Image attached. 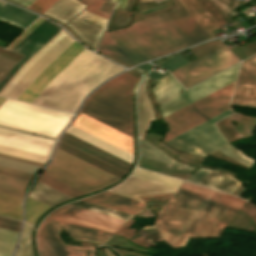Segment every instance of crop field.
Returning a JSON list of instances; mask_svg holds the SVG:
<instances>
[{"mask_svg":"<svg viewBox=\"0 0 256 256\" xmlns=\"http://www.w3.org/2000/svg\"><path fill=\"white\" fill-rule=\"evenodd\" d=\"M82 200L93 202L134 215L138 214L140 211L147 207L143 202H139L107 192L91 196Z\"/></svg>","mask_w":256,"mask_h":256,"instance_id":"19","label":"crop field"},{"mask_svg":"<svg viewBox=\"0 0 256 256\" xmlns=\"http://www.w3.org/2000/svg\"><path fill=\"white\" fill-rule=\"evenodd\" d=\"M235 196L223 193L191 237H206Z\"/></svg>","mask_w":256,"mask_h":256,"instance_id":"20","label":"crop field"},{"mask_svg":"<svg viewBox=\"0 0 256 256\" xmlns=\"http://www.w3.org/2000/svg\"><path fill=\"white\" fill-rule=\"evenodd\" d=\"M159 144H161V145L164 146L165 148L169 149L170 151H172V152H174V153H177L178 155H182V156H184V157H189V158H194V159H198V160L204 161V159H200V158H197V157H193V156H190V155H186V154H183V153L176 152V151L170 149L169 147L165 146V145L162 144L161 142H160ZM184 157L179 156L178 158L181 159V160H184V161L189 160V161H192V162H196V163H200V164H201V162L193 161V160H190V159H187V158H184ZM186 162H188V161H186ZM192 162H189V163H192ZM192 164H195V163H192ZM195 165H198V164H195ZM198 166H200V165H198Z\"/></svg>","mask_w":256,"mask_h":256,"instance_id":"53","label":"crop field"},{"mask_svg":"<svg viewBox=\"0 0 256 256\" xmlns=\"http://www.w3.org/2000/svg\"><path fill=\"white\" fill-rule=\"evenodd\" d=\"M81 1L89 6L94 0H81Z\"/></svg>","mask_w":256,"mask_h":256,"instance_id":"67","label":"crop field"},{"mask_svg":"<svg viewBox=\"0 0 256 256\" xmlns=\"http://www.w3.org/2000/svg\"><path fill=\"white\" fill-rule=\"evenodd\" d=\"M0 228L18 232L20 228L0 223Z\"/></svg>","mask_w":256,"mask_h":256,"instance_id":"59","label":"crop field"},{"mask_svg":"<svg viewBox=\"0 0 256 256\" xmlns=\"http://www.w3.org/2000/svg\"><path fill=\"white\" fill-rule=\"evenodd\" d=\"M50 206L28 196L25 202V221L34 225L37 218Z\"/></svg>","mask_w":256,"mask_h":256,"instance_id":"36","label":"crop field"},{"mask_svg":"<svg viewBox=\"0 0 256 256\" xmlns=\"http://www.w3.org/2000/svg\"><path fill=\"white\" fill-rule=\"evenodd\" d=\"M149 67H150V65L148 63H144L142 65H139V66L135 67L134 69L143 73Z\"/></svg>","mask_w":256,"mask_h":256,"instance_id":"60","label":"crop field"},{"mask_svg":"<svg viewBox=\"0 0 256 256\" xmlns=\"http://www.w3.org/2000/svg\"><path fill=\"white\" fill-rule=\"evenodd\" d=\"M131 176H135V177H138L141 179H145V180L155 182V183L165 185V186L175 188V189H177V187L182 182L181 180H177V179L170 178L167 176L159 175V174L152 173V172L145 171V170L138 169V168H136L134 170V172L131 174Z\"/></svg>","mask_w":256,"mask_h":256,"instance_id":"34","label":"crop field"},{"mask_svg":"<svg viewBox=\"0 0 256 256\" xmlns=\"http://www.w3.org/2000/svg\"><path fill=\"white\" fill-rule=\"evenodd\" d=\"M116 11H117V9L113 10V13H112L110 21L108 23L107 29H111V27L114 23ZM130 15H131V13H129V12L118 10L117 15H116V19H115V23H114V26H113L112 29H117V28H120V27L127 26L129 24Z\"/></svg>","mask_w":256,"mask_h":256,"instance_id":"44","label":"crop field"},{"mask_svg":"<svg viewBox=\"0 0 256 256\" xmlns=\"http://www.w3.org/2000/svg\"><path fill=\"white\" fill-rule=\"evenodd\" d=\"M66 132H68L86 142H89L107 152H110V153L130 162V163L132 161V156H133L132 154H130V153H128V152H126V151H124V150L104 141V140H101V139H99V138H97V137L71 125V124L67 128Z\"/></svg>","mask_w":256,"mask_h":256,"instance_id":"22","label":"crop field"},{"mask_svg":"<svg viewBox=\"0 0 256 256\" xmlns=\"http://www.w3.org/2000/svg\"><path fill=\"white\" fill-rule=\"evenodd\" d=\"M128 2H130V3H132V4H131V6H130V4L128 3V5H127V7H126L125 10H128L129 6H130L129 10H131V8H132V6H133L135 0H128Z\"/></svg>","mask_w":256,"mask_h":256,"instance_id":"66","label":"crop field"},{"mask_svg":"<svg viewBox=\"0 0 256 256\" xmlns=\"http://www.w3.org/2000/svg\"><path fill=\"white\" fill-rule=\"evenodd\" d=\"M179 7L104 35L99 51L132 67L211 38L178 0Z\"/></svg>","mask_w":256,"mask_h":256,"instance_id":"1","label":"crop field"},{"mask_svg":"<svg viewBox=\"0 0 256 256\" xmlns=\"http://www.w3.org/2000/svg\"><path fill=\"white\" fill-rule=\"evenodd\" d=\"M154 0H138L139 3L153 2Z\"/></svg>","mask_w":256,"mask_h":256,"instance_id":"68","label":"crop field"},{"mask_svg":"<svg viewBox=\"0 0 256 256\" xmlns=\"http://www.w3.org/2000/svg\"><path fill=\"white\" fill-rule=\"evenodd\" d=\"M50 215H54L57 217H61L64 219H68L71 221H75L78 223H82L88 226H92V227L99 228V229L106 230L113 233H115L121 227V225L110 223L104 220H100L97 218H93L90 216H86V215L79 214V213L62 209V208H59L53 211Z\"/></svg>","mask_w":256,"mask_h":256,"instance_id":"21","label":"crop field"},{"mask_svg":"<svg viewBox=\"0 0 256 256\" xmlns=\"http://www.w3.org/2000/svg\"><path fill=\"white\" fill-rule=\"evenodd\" d=\"M154 228L153 226H145L142 229Z\"/></svg>","mask_w":256,"mask_h":256,"instance_id":"69","label":"crop field"},{"mask_svg":"<svg viewBox=\"0 0 256 256\" xmlns=\"http://www.w3.org/2000/svg\"><path fill=\"white\" fill-rule=\"evenodd\" d=\"M39 256H85L86 252H79L67 248L90 250L88 256L93 255L94 248H80L67 244L54 243L37 239Z\"/></svg>","mask_w":256,"mask_h":256,"instance_id":"24","label":"crop field"},{"mask_svg":"<svg viewBox=\"0 0 256 256\" xmlns=\"http://www.w3.org/2000/svg\"><path fill=\"white\" fill-rule=\"evenodd\" d=\"M0 222L20 227L21 222L0 217Z\"/></svg>","mask_w":256,"mask_h":256,"instance_id":"56","label":"crop field"},{"mask_svg":"<svg viewBox=\"0 0 256 256\" xmlns=\"http://www.w3.org/2000/svg\"><path fill=\"white\" fill-rule=\"evenodd\" d=\"M91 52L85 49L80 53L54 77L33 103L75 113L88 92L124 70Z\"/></svg>","mask_w":256,"mask_h":256,"instance_id":"2","label":"crop field"},{"mask_svg":"<svg viewBox=\"0 0 256 256\" xmlns=\"http://www.w3.org/2000/svg\"><path fill=\"white\" fill-rule=\"evenodd\" d=\"M113 5H114V4L105 1L104 4L101 6L100 10L105 11V12H107V13L110 14Z\"/></svg>","mask_w":256,"mask_h":256,"instance_id":"57","label":"crop field"},{"mask_svg":"<svg viewBox=\"0 0 256 256\" xmlns=\"http://www.w3.org/2000/svg\"><path fill=\"white\" fill-rule=\"evenodd\" d=\"M27 182L0 175V193L22 198Z\"/></svg>","mask_w":256,"mask_h":256,"instance_id":"35","label":"crop field"},{"mask_svg":"<svg viewBox=\"0 0 256 256\" xmlns=\"http://www.w3.org/2000/svg\"><path fill=\"white\" fill-rule=\"evenodd\" d=\"M197 184L228 193L232 192L241 185L238 180L214 170H211L208 174H206L200 181L197 182Z\"/></svg>","mask_w":256,"mask_h":256,"instance_id":"26","label":"crop field"},{"mask_svg":"<svg viewBox=\"0 0 256 256\" xmlns=\"http://www.w3.org/2000/svg\"><path fill=\"white\" fill-rule=\"evenodd\" d=\"M44 19L39 18L34 24H32L28 29H26L19 37H17L9 47V49H13L19 42H21L36 26H38Z\"/></svg>","mask_w":256,"mask_h":256,"instance_id":"49","label":"crop field"},{"mask_svg":"<svg viewBox=\"0 0 256 256\" xmlns=\"http://www.w3.org/2000/svg\"><path fill=\"white\" fill-rule=\"evenodd\" d=\"M86 7L78 0H58L44 14L66 23Z\"/></svg>","mask_w":256,"mask_h":256,"instance_id":"23","label":"crop field"},{"mask_svg":"<svg viewBox=\"0 0 256 256\" xmlns=\"http://www.w3.org/2000/svg\"><path fill=\"white\" fill-rule=\"evenodd\" d=\"M38 181H40V182H42V183H44V184H46V185H48L52 188H55V189L65 193V194H67L71 197L84 194V193H82V192H80V191H78V190H76V189H74V188H72V187H70V186H68V185H66V184H64V183L46 175V174H44V173L40 176Z\"/></svg>","mask_w":256,"mask_h":256,"instance_id":"41","label":"crop field"},{"mask_svg":"<svg viewBox=\"0 0 256 256\" xmlns=\"http://www.w3.org/2000/svg\"><path fill=\"white\" fill-rule=\"evenodd\" d=\"M221 194L222 192L216 191V193L206 204V206L203 208V210L200 212V214L197 216V218L194 220V222L191 224V226L188 228V230L185 232V234L182 236V238L179 240V242L176 244L174 248L184 245L187 239L191 236V234L194 232V230L197 228V226L200 224V222L203 220V218L206 216V214L209 212V210L221 196Z\"/></svg>","mask_w":256,"mask_h":256,"instance_id":"37","label":"crop field"},{"mask_svg":"<svg viewBox=\"0 0 256 256\" xmlns=\"http://www.w3.org/2000/svg\"><path fill=\"white\" fill-rule=\"evenodd\" d=\"M72 115L7 99L0 107V125L56 139Z\"/></svg>","mask_w":256,"mask_h":256,"instance_id":"5","label":"crop field"},{"mask_svg":"<svg viewBox=\"0 0 256 256\" xmlns=\"http://www.w3.org/2000/svg\"><path fill=\"white\" fill-rule=\"evenodd\" d=\"M146 80L147 78L143 80L138 93V123H139V137L141 138L143 137L150 121L155 120L152 107L150 105V102L145 90Z\"/></svg>","mask_w":256,"mask_h":256,"instance_id":"27","label":"crop field"},{"mask_svg":"<svg viewBox=\"0 0 256 256\" xmlns=\"http://www.w3.org/2000/svg\"><path fill=\"white\" fill-rule=\"evenodd\" d=\"M20 198L0 194V215L22 220Z\"/></svg>","mask_w":256,"mask_h":256,"instance_id":"31","label":"crop field"},{"mask_svg":"<svg viewBox=\"0 0 256 256\" xmlns=\"http://www.w3.org/2000/svg\"><path fill=\"white\" fill-rule=\"evenodd\" d=\"M103 2H104L103 0H96L89 7H87L86 10H88L96 15H100L105 18H108V16H109L108 14H105L98 10V8L102 5Z\"/></svg>","mask_w":256,"mask_h":256,"instance_id":"50","label":"crop field"},{"mask_svg":"<svg viewBox=\"0 0 256 256\" xmlns=\"http://www.w3.org/2000/svg\"><path fill=\"white\" fill-rule=\"evenodd\" d=\"M4 99H5V98L0 97V104L2 103V101H3Z\"/></svg>","mask_w":256,"mask_h":256,"instance_id":"70","label":"crop field"},{"mask_svg":"<svg viewBox=\"0 0 256 256\" xmlns=\"http://www.w3.org/2000/svg\"><path fill=\"white\" fill-rule=\"evenodd\" d=\"M112 1H115V2H116L115 8H119L120 5H121V3H122V6H121L122 9L125 8L126 3H127V0H112Z\"/></svg>","mask_w":256,"mask_h":256,"instance_id":"61","label":"crop field"},{"mask_svg":"<svg viewBox=\"0 0 256 256\" xmlns=\"http://www.w3.org/2000/svg\"><path fill=\"white\" fill-rule=\"evenodd\" d=\"M30 196L53 206L65 199L71 198L57 190H54L40 182L37 181L36 185L33 187Z\"/></svg>","mask_w":256,"mask_h":256,"instance_id":"30","label":"crop field"},{"mask_svg":"<svg viewBox=\"0 0 256 256\" xmlns=\"http://www.w3.org/2000/svg\"><path fill=\"white\" fill-rule=\"evenodd\" d=\"M156 1H158V0H156Z\"/></svg>","mask_w":256,"mask_h":256,"instance_id":"71","label":"crop field"},{"mask_svg":"<svg viewBox=\"0 0 256 256\" xmlns=\"http://www.w3.org/2000/svg\"><path fill=\"white\" fill-rule=\"evenodd\" d=\"M55 1L57 0H35L28 8L39 11L41 13L45 12Z\"/></svg>","mask_w":256,"mask_h":256,"instance_id":"48","label":"crop field"},{"mask_svg":"<svg viewBox=\"0 0 256 256\" xmlns=\"http://www.w3.org/2000/svg\"><path fill=\"white\" fill-rule=\"evenodd\" d=\"M214 192L183 182L162 209L155 224L166 242L175 246Z\"/></svg>","mask_w":256,"mask_h":256,"instance_id":"4","label":"crop field"},{"mask_svg":"<svg viewBox=\"0 0 256 256\" xmlns=\"http://www.w3.org/2000/svg\"><path fill=\"white\" fill-rule=\"evenodd\" d=\"M31 229V226L24 224L23 232L18 244L19 247L16 249V256H33L30 243Z\"/></svg>","mask_w":256,"mask_h":256,"instance_id":"42","label":"crop field"},{"mask_svg":"<svg viewBox=\"0 0 256 256\" xmlns=\"http://www.w3.org/2000/svg\"><path fill=\"white\" fill-rule=\"evenodd\" d=\"M18 233L0 229V256H11Z\"/></svg>","mask_w":256,"mask_h":256,"instance_id":"40","label":"crop field"},{"mask_svg":"<svg viewBox=\"0 0 256 256\" xmlns=\"http://www.w3.org/2000/svg\"><path fill=\"white\" fill-rule=\"evenodd\" d=\"M234 82L163 118L170 131L165 142L230 109Z\"/></svg>","mask_w":256,"mask_h":256,"instance_id":"7","label":"crop field"},{"mask_svg":"<svg viewBox=\"0 0 256 256\" xmlns=\"http://www.w3.org/2000/svg\"><path fill=\"white\" fill-rule=\"evenodd\" d=\"M0 166L35 174L39 166L0 157Z\"/></svg>","mask_w":256,"mask_h":256,"instance_id":"43","label":"crop field"},{"mask_svg":"<svg viewBox=\"0 0 256 256\" xmlns=\"http://www.w3.org/2000/svg\"><path fill=\"white\" fill-rule=\"evenodd\" d=\"M84 49L85 48L75 41L38 75L30 86L21 94L18 100L32 103L40 92L47 86V84L53 79V77Z\"/></svg>","mask_w":256,"mask_h":256,"instance_id":"13","label":"crop field"},{"mask_svg":"<svg viewBox=\"0 0 256 256\" xmlns=\"http://www.w3.org/2000/svg\"><path fill=\"white\" fill-rule=\"evenodd\" d=\"M136 78L124 73L88 97L81 112L132 137L131 93Z\"/></svg>","mask_w":256,"mask_h":256,"instance_id":"3","label":"crop field"},{"mask_svg":"<svg viewBox=\"0 0 256 256\" xmlns=\"http://www.w3.org/2000/svg\"><path fill=\"white\" fill-rule=\"evenodd\" d=\"M53 140L0 127V152L45 163L50 157Z\"/></svg>","mask_w":256,"mask_h":256,"instance_id":"11","label":"crop field"},{"mask_svg":"<svg viewBox=\"0 0 256 256\" xmlns=\"http://www.w3.org/2000/svg\"><path fill=\"white\" fill-rule=\"evenodd\" d=\"M189 63L186 59H184L180 54H177L165 61H163L162 63H160L159 67H163V68H166L170 71L184 65V64H187Z\"/></svg>","mask_w":256,"mask_h":256,"instance_id":"47","label":"crop field"},{"mask_svg":"<svg viewBox=\"0 0 256 256\" xmlns=\"http://www.w3.org/2000/svg\"><path fill=\"white\" fill-rule=\"evenodd\" d=\"M0 174L10 176V177H14V178H18V179H22V180H26V181H29V179H30L29 177H25V176L13 174V173L1 171V170H0Z\"/></svg>","mask_w":256,"mask_h":256,"instance_id":"55","label":"crop field"},{"mask_svg":"<svg viewBox=\"0 0 256 256\" xmlns=\"http://www.w3.org/2000/svg\"><path fill=\"white\" fill-rule=\"evenodd\" d=\"M163 77H165V75H162V74H159V73H156V72H153V71H151L149 73V75L147 76V78H150V79H153V80H156V81L162 79Z\"/></svg>","mask_w":256,"mask_h":256,"instance_id":"58","label":"crop field"},{"mask_svg":"<svg viewBox=\"0 0 256 256\" xmlns=\"http://www.w3.org/2000/svg\"><path fill=\"white\" fill-rule=\"evenodd\" d=\"M14 63H15V61L10 60V59H8V58H5V57H3V56H0V65H1V66H4V67L10 69L11 66H12ZM1 66H0V72H2V73H1V75H0V78L8 71V69H6V68H4V67H1Z\"/></svg>","mask_w":256,"mask_h":256,"instance_id":"51","label":"crop field"},{"mask_svg":"<svg viewBox=\"0 0 256 256\" xmlns=\"http://www.w3.org/2000/svg\"><path fill=\"white\" fill-rule=\"evenodd\" d=\"M62 208L73 210V211H76V212H79V213H83V214H86V215H90V216H93V217H97V218L104 219V220L114 222V223H117V224H121V225H123L126 222V221H123V220H119V219H116V218H113V217H109V216H106V215H103V214H100V213H96V212H93V211H90V210H87V209H83V208H80V207H77V206H73V205H70V204L64 205V206H62Z\"/></svg>","mask_w":256,"mask_h":256,"instance_id":"45","label":"crop field"},{"mask_svg":"<svg viewBox=\"0 0 256 256\" xmlns=\"http://www.w3.org/2000/svg\"><path fill=\"white\" fill-rule=\"evenodd\" d=\"M85 19L99 27L105 28L107 20L96 16L86 10L80 13L75 19H73L67 26L85 43L95 47L100 36L102 35V29L83 21ZM90 46V47H91ZM96 48V47H95Z\"/></svg>","mask_w":256,"mask_h":256,"instance_id":"16","label":"crop field"},{"mask_svg":"<svg viewBox=\"0 0 256 256\" xmlns=\"http://www.w3.org/2000/svg\"><path fill=\"white\" fill-rule=\"evenodd\" d=\"M139 145H140V155L141 156L151 158V159H154V160H157L160 162L180 166V167H183V168H186L189 170L192 169V167L185 166V165L179 164V163L171 160L166 154L157 150L152 145H150L149 143L145 142L144 140H142L140 138H139Z\"/></svg>","mask_w":256,"mask_h":256,"instance_id":"33","label":"crop field"},{"mask_svg":"<svg viewBox=\"0 0 256 256\" xmlns=\"http://www.w3.org/2000/svg\"><path fill=\"white\" fill-rule=\"evenodd\" d=\"M25 7H27L29 4H31L34 0H13Z\"/></svg>","mask_w":256,"mask_h":256,"instance_id":"62","label":"crop field"},{"mask_svg":"<svg viewBox=\"0 0 256 256\" xmlns=\"http://www.w3.org/2000/svg\"><path fill=\"white\" fill-rule=\"evenodd\" d=\"M0 156H2V157H7V158H11V159H15V160H19V161H23V162H27V163H31V164H35V165H39V166H42V165H43L42 163H38V162H34V161L22 159V158H17V157H13V156L1 154V153H0Z\"/></svg>","mask_w":256,"mask_h":256,"instance_id":"54","label":"crop field"},{"mask_svg":"<svg viewBox=\"0 0 256 256\" xmlns=\"http://www.w3.org/2000/svg\"><path fill=\"white\" fill-rule=\"evenodd\" d=\"M245 201L241 200L240 198L236 197L211 232L208 234L207 237H219L240 207L243 205Z\"/></svg>","mask_w":256,"mask_h":256,"instance_id":"32","label":"crop field"},{"mask_svg":"<svg viewBox=\"0 0 256 256\" xmlns=\"http://www.w3.org/2000/svg\"><path fill=\"white\" fill-rule=\"evenodd\" d=\"M174 7H176V5H174V6H172V7H169V8H166V9H164V10H161V11H158V12H155V13H152V14L144 15V16L147 17V16H150V15H153V14L161 13V12H164V11H166V10H168V9H171V8H174Z\"/></svg>","mask_w":256,"mask_h":256,"instance_id":"64","label":"crop field"},{"mask_svg":"<svg viewBox=\"0 0 256 256\" xmlns=\"http://www.w3.org/2000/svg\"><path fill=\"white\" fill-rule=\"evenodd\" d=\"M44 173L84 193L110 185L118 179L58 148Z\"/></svg>","mask_w":256,"mask_h":256,"instance_id":"6","label":"crop field"},{"mask_svg":"<svg viewBox=\"0 0 256 256\" xmlns=\"http://www.w3.org/2000/svg\"><path fill=\"white\" fill-rule=\"evenodd\" d=\"M74 41L62 29L11 77L0 95L17 99L37 75Z\"/></svg>","mask_w":256,"mask_h":256,"instance_id":"9","label":"crop field"},{"mask_svg":"<svg viewBox=\"0 0 256 256\" xmlns=\"http://www.w3.org/2000/svg\"><path fill=\"white\" fill-rule=\"evenodd\" d=\"M233 158H235L236 160L248 165V166H252L256 161L244 156L239 150H237L235 147H233L232 145H229L221 150H219Z\"/></svg>","mask_w":256,"mask_h":256,"instance_id":"46","label":"crop field"},{"mask_svg":"<svg viewBox=\"0 0 256 256\" xmlns=\"http://www.w3.org/2000/svg\"><path fill=\"white\" fill-rule=\"evenodd\" d=\"M231 103L256 107V55L243 61Z\"/></svg>","mask_w":256,"mask_h":256,"instance_id":"14","label":"crop field"},{"mask_svg":"<svg viewBox=\"0 0 256 256\" xmlns=\"http://www.w3.org/2000/svg\"><path fill=\"white\" fill-rule=\"evenodd\" d=\"M3 3V1H0L1 5ZM37 17L38 16L14 7L6 2L0 6V19L23 29H25Z\"/></svg>","mask_w":256,"mask_h":256,"instance_id":"25","label":"crop field"},{"mask_svg":"<svg viewBox=\"0 0 256 256\" xmlns=\"http://www.w3.org/2000/svg\"><path fill=\"white\" fill-rule=\"evenodd\" d=\"M60 230L61 229L54 222L43 220L39 227L37 238L63 243L59 236Z\"/></svg>","mask_w":256,"mask_h":256,"instance_id":"38","label":"crop field"},{"mask_svg":"<svg viewBox=\"0 0 256 256\" xmlns=\"http://www.w3.org/2000/svg\"><path fill=\"white\" fill-rule=\"evenodd\" d=\"M209 171H210L209 169L201 168L195 174H193L189 179H187V181L196 183L199 179H201Z\"/></svg>","mask_w":256,"mask_h":256,"instance_id":"52","label":"crop field"},{"mask_svg":"<svg viewBox=\"0 0 256 256\" xmlns=\"http://www.w3.org/2000/svg\"><path fill=\"white\" fill-rule=\"evenodd\" d=\"M232 112V109L225 113L222 112L223 114L197 125L198 127L195 126L196 128L193 127L194 129L191 128L192 130L166 143L191 154L206 156L229 144L213 122Z\"/></svg>","mask_w":256,"mask_h":256,"instance_id":"10","label":"crop field"},{"mask_svg":"<svg viewBox=\"0 0 256 256\" xmlns=\"http://www.w3.org/2000/svg\"><path fill=\"white\" fill-rule=\"evenodd\" d=\"M174 191L175 189L129 176L119 186L110 189L107 192L142 201L138 196L154 193H170Z\"/></svg>","mask_w":256,"mask_h":256,"instance_id":"17","label":"crop field"},{"mask_svg":"<svg viewBox=\"0 0 256 256\" xmlns=\"http://www.w3.org/2000/svg\"><path fill=\"white\" fill-rule=\"evenodd\" d=\"M71 204L77 205V206H80V207H83V208H87V209H90V210H93V211H96V212H100V213H103V214H106V215H109V216H113V217H116V218H119V219H123V220H126V221H128V219L130 217L131 218L134 217V215L123 213V212H120V211H117V210H113V209H110V208H106V207L99 206V205L89 203V202H86V201H82V200L76 201V202L71 203Z\"/></svg>","mask_w":256,"mask_h":256,"instance_id":"39","label":"crop field"},{"mask_svg":"<svg viewBox=\"0 0 256 256\" xmlns=\"http://www.w3.org/2000/svg\"><path fill=\"white\" fill-rule=\"evenodd\" d=\"M240 63V62H239ZM238 64V63H237ZM236 65V64H235ZM239 65H236L202 83L199 85L159 104L162 117H165L188 104L210 94L211 92L235 81Z\"/></svg>","mask_w":256,"mask_h":256,"instance_id":"12","label":"crop field"},{"mask_svg":"<svg viewBox=\"0 0 256 256\" xmlns=\"http://www.w3.org/2000/svg\"><path fill=\"white\" fill-rule=\"evenodd\" d=\"M46 219L56 222V224L61 226L65 232H67L69 235L72 236V238L75 239L89 240L103 244L108 238L113 235V233H109L50 215H48Z\"/></svg>","mask_w":256,"mask_h":256,"instance_id":"18","label":"crop field"},{"mask_svg":"<svg viewBox=\"0 0 256 256\" xmlns=\"http://www.w3.org/2000/svg\"><path fill=\"white\" fill-rule=\"evenodd\" d=\"M191 51L199 59L171 72L185 88L239 62L221 41L209 42Z\"/></svg>","mask_w":256,"mask_h":256,"instance_id":"8","label":"crop field"},{"mask_svg":"<svg viewBox=\"0 0 256 256\" xmlns=\"http://www.w3.org/2000/svg\"><path fill=\"white\" fill-rule=\"evenodd\" d=\"M1 170H5V171H9V172H13V173H17V174H21V175H25V176H29L32 177L31 174H27V173H23V172H19V171H15V170H10V169H6V168H2L0 167Z\"/></svg>","mask_w":256,"mask_h":256,"instance_id":"63","label":"crop field"},{"mask_svg":"<svg viewBox=\"0 0 256 256\" xmlns=\"http://www.w3.org/2000/svg\"><path fill=\"white\" fill-rule=\"evenodd\" d=\"M183 6L195 17V19L207 30V32L215 37L212 30L218 29V23L209 16L196 0H179Z\"/></svg>","mask_w":256,"mask_h":256,"instance_id":"28","label":"crop field"},{"mask_svg":"<svg viewBox=\"0 0 256 256\" xmlns=\"http://www.w3.org/2000/svg\"><path fill=\"white\" fill-rule=\"evenodd\" d=\"M182 90L184 88L170 74L152 88L157 103L174 96Z\"/></svg>","mask_w":256,"mask_h":256,"instance_id":"29","label":"crop field"},{"mask_svg":"<svg viewBox=\"0 0 256 256\" xmlns=\"http://www.w3.org/2000/svg\"><path fill=\"white\" fill-rule=\"evenodd\" d=\"M103 250H104L106 256H114V254L110 250H108L106 248H103Z\"/></svg>","mask_w":256,"mask_h":256,"instance_id":"65","label":"crop field"},{"mask_svg":"<svg viewBox=\"0 0 256 256\" xmlns=\"http://www.w3.org/2000/svg\"><path fill=\"white\" fill-rule=\"evenodd\" d=\"M73 124L133 154L131 137L82 113L79 114Z\"/></svg>","mask_w":256,"mask_h":256,"instance_id":"15","label":"crop field"}]
</instances>
